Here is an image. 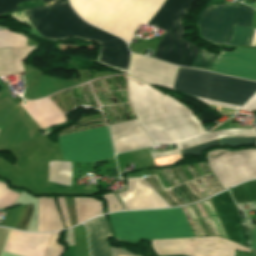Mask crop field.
Instances as JSON below:
<instances>
[{
	"label": "crop field",
	"mask_w": 256,
	"mask_h": 256,
	"mask_svg": "<svg viewBox=\"0 0 256 256\" xmlns=\"http://www.w3.org/2000/svg\"><path fill=\"white\" fill-rule=\"evenodd\" d=\"M133 112L154 143L181 142L205 132L190 109L177 100L127 76Z\"/></svg>",
	"instance_id": "8a807250"
},
{
	"label": "crop field",
	"mask_w": 256,
	"mask_h": 256,
	"mask_svg": "<svg viewBox=\"0 0 256 256\" xmlns=\"http://www.w3.org/2000/svg\"><path fill=\"white\" fill-rule=\"evenodd\" d=\"M27 0H0V15L17 9V3ZM49 4L68 2L48 1ZM32 26L41 36L64 39L69 36L92 39L102 44L99 62L126 70L129 51L123 40L84 23L70 8L68 3L47 5L24 11Z\"/></svg>",
	"instance_id": "ac0d7876"
},
{
	"label": "crop field",
	"mask_w": 256,
	"mask_h": 256,
	"mask_svg": "<svg viewBox=\"0 0 256 256\" xmlns=\"http://www.w3.org/2000/svg\"><path fill=\"white\" fill-rule=\"evenodd\" d=\"M85 21L130 41L139 24H147L164 0H70Z\"/></svg>",
	"instance_id": "34b2d1b8"
},
{
	"label": "crop field",
	"mask_w": 256,
	"mask_h": 256,
	"mask_svg": "<svg viewBox=\"0 0 256 256\" xmlns=\"http://www.w3.org/2000/svg\"><path fill=\"white\" fill-rule=\"evenodd\" d=\"M118 240L195 237L181 208L108 215Z\"/></svg>",
	"instance_id": "412701ff"
},
{
	"label": "crop field",
	"mask_w": 256,
	"mask_h": 256,
	"mask_svg": "<svg viewBox=\"0 0 256 256\" xmlns=\"http://www.w3.org/2000/svg\"><path fill=\"white\" fill-rule=\"evenodd\" d=\"M173 90L196 98L242 106L256 92V82L226 77L206 71L179 68ZM207 100L201 101L209 105L235 110L240 108L239 106Z\"/></svg>",
	"instance_id": "f4fd0767"
},
{
	"label": "crop field",
	"mask_w": 256,
	"mask_h": 256,
	"mask_svg": "<svg viewBox=\"0 0 256 256\" xmlns=\"http://www.w3.org/2000/svg\"><path fill=\"white\" fill-rule=\"evenodd\" d=\"M181 0H166L154 18L148 23L159 29L164 25ZM193 0H182L162 27L167 31L153 57L162 61L190 67L197 47L181 39L183 34L180 17ZM214 54L198 49L191 67L210 70Z\"/></svg>",
	"instance_id": "dd49c442"
},
{
	"label": "crop field",
	"mask_w": 256,
	"mask_h": 256,
	"mask_svg": "<svg viewBox=\"0 0 256 256\" xmlns=\"http://www.w3.org/2000/svg\"><path fill=\"white\" fill-rule=\"evenodd\" d=\"M253 9L236 5H207L196 18L200 37L218 45H231L233 25L251 27ZM255 29L234 26L232 45L251 46Z\"/></svg>",
	"instance_id": "e52e79f7"
},
{
	"label": "crop field",
	"mask_w": 256,
	"mask_h": 256,
	"mask_svg": "<svg viewBox=\"0 0 256 256\" xmlns=\"http://www.w3.org/2000/svg\"><path fill=\"white\" fill-rule=\"evenodd\" d=\"M58 138L64 160L93 162L114 157L106 126Z\"/></svg>",
	"instance_id": "d8731c3e"
},
{
	"label": "crop field",
	"mask_w": 256,
	"mask_h": 256,
	"mask_svg": "<svg viewBox=\"0 0 256 256\" xmlns=\"http://www.w3.org/2000/svg\"><path fill=\"white\" fill-rule=\"evenodd\" d=\"M208 163L224 189L256 178V149L209 152Z\"/></svg>",
	"instance_id": "5a996713"
},
{
	"label": "crop field",
	"mask_w": 256,
	"mask_h": 256,
	"mask_svg": "<svg viewBox=\"0 0 256 256\" xmlns=\"http://www.w3.org/2000/svg\"><path fill=\"white\" fill-rule=\"evenodd\" d=\"M211 71L256 80V50H222L215 58Z\"/></svg>",
	"instance_id": "3316defc"
},
{
	"label": "crop field",
	"mask_w": 256,
	"mask_h": 256,
	"mask_svg": "<svg viewBox=\"0 0 256 256\" xmlns=\"http://www.w3.org/2000/svg\"><path fill=\"white\" fill-rule=\"evenodd\" d=\"M177 68L160 61L133 54L127 73L145 83L161 85L171 90Z\"/></svg>",
	"instance_id": "28ad6ade"
},
{
	"label": "crop field",
	"mask_w": 256,
	"mask_h": 256,
	"mask_svg": "<svg viewBox=\"0 0 256 256\" xmlns=\"http://www.w3.org/2000/svg\"><path fill=\"white\" fill-rule=\"evenodd\" d=\"M52 234H28L11 230L4 252L19 256H45Z\"/></svg>",
	"instance_id": "d1516ede"
},
{
	"label": "crop field",
	"mask_w": 256,
	"mask_h": 256,
	"mask_svg": "<svg viewBox=\"0 0 256 256\" xmlns=\"http://www.w3.org/2000/svg\"><path fill=\"white\" fill-rule=\"evenodd\" d=\"M125 210L168 207L142 180L128 179V188L117 193Z\"/></svg>",
	"instance_id": "22f410ed"
},
{
	"label": "crop field",
	"mask_w": 256,
	"mask_h": 256,
	"mask_svg": "<svg viewBox=\"0 0 256 256\" xmlns=\"http://www.w3.org/2000/svg\"><path fill=\"white\" fill-rule=\"evenodd\" d=\"M229 239L247 248L237 210L229 191L211 198Z\"/></svg>",
	"instance_id": "cbeb9de0"
},
{
	"label": "crop field",
	"mask_w": 256,
	"mask_h": 256,
	"mask_svg": "<svg viewBox=\"0 0 256 256\" xmlns=\"http://www.w3.org/2000/svg\"><path fill=\"white\" fill-rule=\"evenodd\" d=\"M22 106L41 128L66 120V116L48 97L37 101L22 102Z\"/></svg>",
	"instance_id": "5142ce71"
},
{
	"label": "crop field",
	"mask_w": 256,
	"mask_h": 256,
	"mask_svg": "<svg viewBox=\"0 0 256 256\" xmlns=\"http://www.w3.org/2000/svg\"><path fill=\"white\" fill-rule=\"evenodd\" d=\"M84 225L88 228L91 256H111L108 236L112 234L104 216L94 218Z\"/></svg>",
	"instance_id": "d9b57169"
},
{
	"label": "crop field",
	"mask_w": 256,
	"mask_h": 256,
	"mask_svg": "<svg viewBox=\"0 0 256 256\" xmlns=\"http://www.w3.org/2000/svg\"><path fill=\"white\" fill-rule=\"evenodd\" d=\"M54 198H39L38 232L63 229Z\"/></svg>",
	"instance_id": "733c2abd"
},
{
	"label": "crop field",
	"mask_w": 256,
	"mask_h": 256,
	"mask_svg": "<svg viewBox=\"0 0 256 256\" xmlns=\"http://www.w3.org/2000/svg\"><path fill=\"white\" fill-rule=\"evenodd\" d=\"M244 136H256L255 129H224L207 133L197 139L186 141L184 143L177 144L180 150L187 149L199 144L210 142L222 137H244Z\"/></svg>",
	"instance_id": "4a817a6b"
},
{
	"label": "crop field",
	"mask_w": 256,
	"mask_h": 256,
	"mask_svg": "<svg viewBox=\"0 0 256 256\" xmlns=\"http://www.w3.org/2000/svg\"><path fill=\"white\" fill-rule=\"evenodd\" d=\"M1 225L25 230L33 212L32 204L19 205L13 209H7Z\"/></svg>",
	"instance_id": "bc2a9ffb"
},
{
	"label": "crop field",
	"mask_w": 256,
	"mask_h": 256,
	"mask_svg": "<svg viewBox=\"0 0 256 256\" xmlns=\"http://www.w3.org/2000/svg\"><path fill=\"white\" fill-rule=\"evenodd\" d=\"M74 202L77 224L102 214L100 202L92 198H74Z\"/></svg>",
	"instance_id": "214f88e0"
},
{
	"label": "crop field",
	"mask_w": 256,
	"mask_h": 256,
	"mask_svg": "<svg viewBox=\"0 0 256 256\" xmlns=\"http://www.w3.org/2000/svg\"><path fill=\"white\" fill-rule=\"evenodd\" d=\"M236 203L253 202L256 205V180L231 189Z\"/></svg>",
	"instance_id": "92a150f3"
},
{
	"label": "crop field",
	"mask_w": 256,
	"mask_h": 256,
	"mask_svg": "<svg viewBox=\"0 0 256 256\" xmlns=\"http://www.w3.org/2000/svg\"><path fill=\"white\" fill-rule=\"evenodd\" d=\"M76 256H89L85 228L79 225L73 228Z\"/></svg>",
	"instance_id": "dafd665d"
},
{
	"label": "crop field",
	"mask_w": 256,
	"mask_h": 256,
	"mask_svg": "<svg viewBox=\"0 0 256 256\" xmlns=\"http://www.w3.org/2000/svg\"><path fill=\"white\" fill-rule=\"evenodd\" d=\"M27 38L6 30L0 31V47L26 46Z\"/></svg>",
	"instance_id": "00972430"
},
{
	"label": "crop field",
	"mask_w": 256,
	"mask_h": 256,
	"mask_svg": "<svg viewBox=\"0 0 256 256\" xmlns=\"http://www.w3.org/2000/svg\"><path fill=\"white\" fill-rule=\"evenodd\" d=\"M20 194L21 192L8 190L6 184L0 182V209L12 205Z\"/></svg>",
	"instance_id": "a9b5d70f"
},
{
	"label": "crop field",
	"mask_w": 256,
	"mask_h": 256,
	"mask_svg": "<svg viewBox=\"0 0 256 256\" xmlns=\"http://www.w3.org/2000/svg\"><path fill=\"white\" fill-rule=\"evenodd\" d=\"M59 234L60 232L53 234L50 240L49 251L47 256H59L64 252L63 246L58 244Z\"/></svg>",
	"instance_id": "4177f3b9"
},
{
	"label": "crop field",
	"mask_w": 256,
	"mask_h": 256,
	"mask_svg": "<svg viewBox=\"0 0 256 256\" xmlns=\"http://www.w3.org/2000/svg\"><path fill=\"white\" fill-rule=\"evenodd\" d=\"M107 202L109 212L122 210V207L114 194L102 195Z\"/></svg>",
	"instance_id": "730fd06b"
},
{
	"label": "crop field",
	"mask_w": 256,
	"mask_h": 256,
	"mask_svg": "<svg viewBox=\"0 0 256 256\" xmlns=\"http://www.w3.org/2000/svg\"><path fill=\"white\" fill-rule=\"evenodd\" d=\"M249 236L253 256H256V226L245 225Z\"/></svg>",
	"instance_id": "eef30255"
},
{
	"label": "crop field",
	"mask_w": 256,
	"mask_h": 256,
	"mask_svg": "<svg viewBox=\"0 0 256 256\" xmlns=\"http://www.w3.org/2000/svg\"><path fill=\"white\" fill-rule=\"evenodd\" d=\"M57 199H58V203H59V206H60L63 222H64L66 228H68V227L71 226V224H70V220H69L65 200H64V198H57Z\"/></svg>",
	"instance_id": "ae1a2a85"
},
{
	"label": "crop field",
	"mask_w": 256,
	"mask_h": 256,
	"mask_svg": "<svg viewBox=\"0 0 256 256\" xmlns=\"http://www.w3.org/2000/svg\"><path fill=\"white\" fill-rule=\"evenodd\" d=\"M242 110L256 112V94L250 99V101L242 108ZM256 118V114L254 115Z\"/></svg>",
	"instance_id": "d3111659"
},
{
	"label": "crop field",
	"mask_w": 256,
	"mask_h": 256,
	"mask_svg": "<svg viewBox=\"0 0 256 256\" xmlns=\"http://www.w3.org/2000/svg\"><path fill=\"white\" fill-rule=\"evenodd\" d=\"M177 154H180L178 149L151 153V156H152V158H156V157H163V156H170V155H177Z\"/></svg>",
	"instance_id": "750c4746"
}]
</instances>
